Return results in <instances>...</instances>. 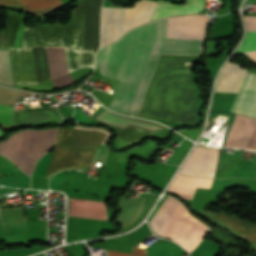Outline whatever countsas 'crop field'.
Listing matches in <instances>:
<instances>
[{
	"instance_id": "8a807250",
	"label": "crop field",
	"mask_w": 256,
	"mask_h": 256,
	"mask_svg": "<svg viewBox=\"0 0 256 256\" xmlns=\"http://www.w3.org/2000/svg\"><path fill=\"white\" fill-rule=\"evenodd\" d=\"M197 53L198 40L166 38V18L127 31L96 54L100 73L121 79L110 107L137 114L160 54Z\"/></svg>"
},
{
	"instance_id": "ac0d7876",
	"label": "crop field",
	"mask_w": 256,
	"mask_h": 256,
	"mask_svg": "<svg viewBox=\"0 0 256 256\" xmlns=\"http://www.w3.org/2000/svg\"><path fill=\"white\" fill-rule=\"evenodd\" d=\"M149 223L156 234L174 240L190 254L211 229L190 216L185 207L170 196Z\"/></svg>"
},
{
	"instance_id": "34b2d1b8",
	"label": "crop field",
	"mask_w": 256,
	"mask_h": 256,
	"mask_svg": "<svg viewBox=\"0 0 256 256\" xmlns=\"http://www.w3.org/2000/svg\"><path fill=\"white\" fill-rule=\"evenodd\" d=\"M156 4L141 0L132 9L102 7L101 46L119 38L128 29L149 21Z\"/></svg>"
},
{
	"instance_id": "412701ff",
	"label": "crop field",
	"mask_w": 256,
	"mask_h": 256,
	"mask_svg": "<svg viewBox=\"0 0 256 256\" xmlns=\"http://www.w3.org/2000/svg\"><path fill=\"white\" fill-rule=\"evenodd\" d=\"M73 128L58 129L55 148L46 172V178L62 169H79L91 165L96 147L72 152Z\"/></svg>"
},
{
	"instance_id": "f4fd0767",
	"label": "crop field",
	"mask_w": 256,
	"mask_h": 256,
	"mask_svg": "<svg viewBox=\"0 0 256 256\" xmlns=\"http://www.w3.org/2000/svg\"><path fill=\"white\" fill-rule=\"evenodd\" d=\"M208 16L184 15L167 18V37L206 39Z\"/></svg>"
},
{
	"instance_id": "dd49c442",
	"label": "crop field",
	"mask_w": 256,
	"mask_h": 256,
	"mask_svg": "<svg viewBox=\"0 0 256 256\" xmlns=\"http://www.w3.org/2000/svg\"><path fill=\"white\" fill-rule=\"evenodd\" d=\"M219 149L196 146L181 167L179 173L200 177H214Z\"/></svg>"
},
{
	"instance_id": "e52e79f7",
	"label": "crop field",
	"mask_w": 256,
	"mask_h": 256,
	"mask_svg": "<svg viewBox=\"0 0 256 256\" xmlns=\"http://www.w3.org/2000/svg\"><path fill=\"white\" fill-rule=\"evenodd\" d=\"M224 146L256 150V119L236 114Z\"/></svg>"
},
{
	"instance_id": "d8731c3e",
	"label": "crop field",
	"mask_w": 256,
	"mask_h": 256,
	"mask_svg": "<svg viewBox=\"0 0 256 256\" xmlns=\"http://www.w3.org/2000/svg\"><path fill=\"white\" fill-rule=\"evenodd\" d=\"M232 112L256 117V75L246 73L238 95L232 105Z\"/></svg>"
},
{
	"instance_id": "5a996713",
	"label": "crop field",
	"mask_w": 256,
	"mask_h": 256,
	"mask_svg": "<svg viewBox=\"0 0 256 256\" xmlns=\"http://www.w3.org/2000/svg\"><path fill=\"white\" fill-rule=\"evenodd\" d=\"M247 70L227 62L217 80L215 91L237 93Z\"/></svg>"
},
{
	"instance_id": "3316defc",
	"label": "crop field",
	"mask_w": 256,
	"mask_h": 256,
	"mask_svg": "<svg viewBox=\"0 0 256 256\" xmlns=\"http://www.w3.org/2000/svg\"><path fill=\"white\" fill-rule=\"evenodd\" d=\"M68 215L106 220L104 202L69 198Z\"/></svg>"
},
{
	"instance_id": "28ad6ade",
	"label": "crop field",
	"mask_w": 256,
	"mask_h": 256,
	"mask_svg": "<svg viewBox=\"0 0 256 256\" xmlns=\"http://www.w3.org/2000/svg\"><path fill=\"white\" fill-rule=\"evenodd\" d=\"M213 179L197 178L176 175L169 191H172L183 198L191 199L196 187L210 188Z\"/></svg>"
},
{
	"instance_id": "d1516ede",
	"label": "crop field",
	"mask_w": 256,
	"mask_h": 256,
	"mask_svg": "<svg viewBox=\"0 0 256 256\" xmlns=\"http://www.w3.org/2000/svg\"><path fill=\"white\" fill-rule=\"evenodd\" d=\"M186 2L187 4L185 5L175 6L159 0L151 19L178 14L197 13L204 9V0H186Z\"/></svg>"
},
{
	"instance_id": "22f410ed",
	"label": "crop field",
	"mask_w": 256,
	"mask_h": 256,
	"mask_svg": "<svg viewBox=\"0 0 256 256\" xmlns=\"http://www.w3.org/2000/svg\"><path fill=\"white\" fill-rule=\"evenodd\" d=\"M108 134L98 129H74L73 151L105 143Z\"/></svg>"
},
{
	"instance_id": "cbeb9de0",
	"label": "crop field",
	"mask_w": 256,
	"mask_h": 256,
	"mask_svg": "<svg viewBox=\"0 0 256 256\" xmlns=\"http://www.w3.org/2000/svg\"><path fill=\"white\" fill-rule=\"evenodd\" d=\"M20 1L22 9L37 16H43L64 4L60 0H16Z\"/></svg>"
},
{
	"instance_id": "5142ce71",
	"label": "crop field",
	"mask_w": 256,
	"mask_h": 256,
	"mask_svg": "<svg viewBox=\"0 0 256 256\" xmlns=\"http://www.w3.org/2000/svg\"><path fill=\"white\" fill-rule=\"evenodd\" d=\"M93 117H95V118H97V119H99V120H101V121H103L107 124H111V125L118 126V127H121V128H123L128 123L139 125V126H142V127L153 129V130L161 128V127H158V126L146 124V123L136 121V120H133V119L116 116V115H113V114H111V113H109L105 110L100 112L99 114L93 116Z\"/></svg>"
},
{
	"instance_id": "d9b57169",
	"label": "crop field",
	"mask_w": 256,
	"mask_h": 256,
	"mask_svg": "<svg viewBox=\"0 0 256 256\" xmlns=\"http://www.w3.org/2000/svg\"><path fill=\"white\" fill-rule=\"evenodd\" d=\"M19 18L20 16L18 15L6 13V26L3 48L13 46L16 30L19 24Z\"/></svg>"
},
{
	"instance_id": "733c2abd",
	"label": "crop field",
	"mask_w": 256,
	"mask_h": 256,
	"mask_svg": "<svg viewBox=\"0 0 256 256\" xmlns=\"http://www.w3.org/2000/svg\"><path fill=\"white\" fill-rule=\"evenodd\" d=\"M0 82L13 85L7 51H0Z\"/></svg>"
},
{
	"instance_id": "4a817a6b",
	"label": "crop field",
	"mask_w": 256,
	"mask_h": 256,
	"mask_svg": "<svg viewBox=\"0 0 256 256\" xmlns=\"http://www.w3.org/2000/svg\"><path fill=\"white\" fill-rule=\"evenodd\" d=\"M252 50H256V32H246V36L235 51V54Z\"/></svg>"
},
{
	"instance_id": "bc2a9ffb",
	"label": "crop field",
	"mask_w": 256,
	"mask_h": 256,
	"mask_svg": "<svg viewBox=\"0 0 256 256\" xmlns=\"http://www.w3.org/2000/svg\"><path fill=\"white\" fill-rule=\"evenodd\" d=\"M13 106L0 103V122L12 124Z\"/></svg>"
},
{
	"instance_id": "214f88e0",
	"label": "crop field",
	"mask_w": 256,
	"mask_h": 256,
	"mask_svg": "<svg viewBox=\"0 0 256 256\" xmlns=\"http://www.w3.org/2000/svg\"><path fill=\"white\" fill-rule=\"evenodd\" d=\"M106 256H147V254L145 249H138L133 247L131 254L119 253V252L108 250Z\"/></svg>"
},
{
	"instance_id": "92a150f3",
	"label": "crop field",
	"mask_w": 256,
	"mask_h": 256,
	"mask_svg": "<svg viewBox=\"0 0 256 256\" xmlns=\"http://www.w3.org/2000/svg\"><path fill=\"white\" fill-rule=\"evenodd\" d=\"M246 31H256V17L244 16Z\"/></svg>"
},
{
	"instance_id": "dafd665d",
	"label": "crop field",
	"mask_w": 256,
	"mask_h": 256,
	"mask_svg": "<svg viewBox=\"0 0 256 256\" xmlns=\"http://www.w3.org/2000/svg\"><path fill=\"white\" fill-rule=\"evenodd\" d=\"M0 4H10V5H18V6H20L18 2L0 1Z\"/></svg>"
},
{
	"instance_id": "00972430",
	"label": "crop field",
	"mask_w": 256,
	"mask_h": 256,
	"mask_svg": "<svg viewBox=\"0 0 256 256\" xmlns=\"http://www.w3.org/2000/svg\"><path fill=\"white\" fill-rule=\"evenodd\" d=\"M249 57L256 61V52L248 53Z\"/></svg>"
},
{
	"instance_id": "a9b5d70f",
	"label": "crop field",
	"mask_w": 256,
	"mask_h": 256,
	"mask_svg": "<svg viewBox=\"0 0 256 256\" xmlns=\"http://www.w3.org/2000/svg\"><path fill=\"white\" fill-rule=\"evenodd\" d=\"M2 134L0 133V136H1Z\"/></svg>"
}]
</instances>
